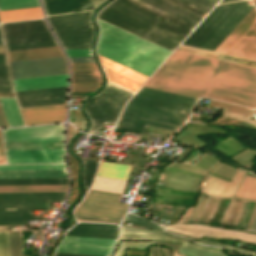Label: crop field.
<instances>
[{"label":"crop field","instance_id":"8a807250","mask_svg":"<svg viewBox=\"0 0 256 256\" xmlns=\"http://www.w3.org/2000/svg\"><path fill=\"white\" fill-rule=\"evenodd\" d=\"M98 18L171 52L190 31L123 0H114ZM97 18V53L149 77L171 52Z\"/></svg>","mask_w":256,"mask_h":256},{"label":"crop field","instance_id":"ac0d7876","mask_svg":"<svg viewBox=\"0 0 256 256\" xmlns=\"http://www.w3.org/2000/svg\"><path fill=\"white\" fill-rule=\"evenodd\" d=\"M144 86L256 108V68L178 51Z\"/></svg>","mask_w":256,"mask_h":256},{"label":"crop field","instance_id":"34b2d1b8","mask_svg":"<svg viewBox=\"0 0 256 256\" xmlns=\"http://www.w3.org/2000/svg\"><path fill=\"white\" fill-rule=\"evenodd\" d=\"M196 100L142 87L125 106L114 129L144 133L150 125L176 131L191 114Z\"/></svg>","mask_w":256,"mask_h":256},{"label":"crop field","instance_id":"412701ff","mask_svg":"<svg viewBox=\"0 0 256 256\" xmlns=\"http://www.w3.org/2000/svg\"><path fill=\"white\" fill-rule=\"evenodd\" d=\"M92 11L47 16V20L63 49L91 48L94 28Z\"/></svg>","mask_w":256,"mask_h":256},{"label":"crop field","instance_id":"f4fd0767","mask_svg":"<svg viewBox=\"0 0 256 256\" xmlns=\"http://www.w3.org/2000/svg\"><path fill=\"white\" fill-rule=\"evenodd\" d=\"M132 95V93L107 82L101 92L86 102L85 112L91 123L88 132L95 133L105 124L114 125L124 103Z\"/></svg>","mask_w":256,"mask_h":256},{"label":"crop field","instance_id":"dd49c442","mask_svg":"<svg viewBox=\"0 0 256 256\" xmlns=\"http://www.w3.org/2000/svg\"><path fill=\"white\" fill-rule=\"evenodd\" d=\"M215 51L256 61L255 7Z\"/></svg>","mask_w":256,"mask_h":256},{"label":"crop field","instance_id":"e52e79f7","mask_svg":"<svg viewBox=\"0 0 256 256\" xmlns=\"http://www.w3.org/2000/svg\"><path fill=\"white\" fill-rule=\"evenodd\" d=\"M13 79L68 73L64 56L9 62Z\"/></svg>","mask_w":256,"mask_h":256},{"label":"crop field","instance_id":"d8731c3e","mask_svg":"<svg viewBox=\"0 0 256 256\" xmlns=\"http://www.w3.org/2000/svg\"><path fill=\"white\" fill-rule=\"evenodd\" d=\"M66 193H0V209L49 210V201H64Z\"/></svg>","mask_w":256,"mask_h":256},{"label":"crop field","instance_id":"5a996713","mask_svg":"<svg viewBox=\"0 0 256 256\" xmlns=\"http://www.w3.org/2000/svg\"><path fill=\"white\" fill-rule=\"evenodd\" d=\"M6 45L52 40L43 19L2 24Z\"/></svg>","mask_w":256,"mask_h":256},{"label":"crop field","instance_id":"3316defc","mask_svg":"<svg viewBox=\"0 0 256 256\" xmlns=\"http://www.w3.org/2000/svg\"><path fill=\"white\" fill-rule=\"evenodd\" d=\"M128 206L127 204L84 198L76 207L74 216L78 219L120 222Z\"/></svg>","mask_w":256,"mask_h":256},{"label":"crop field","instance_id":"28ad6ade","mask_svg":"<svg viewBox=\"0 0 256 256\" xmlns=\"http://www.w3.org/2000/svg\"><path fill=\"white\" fill-rule=\"evenodd\" d=\"M116 239L65 236L56 252L109 255Z\"/></svg>","mask_w":256,"mask_h":256},{"label":"crop field","instance_id":"d1516ede","mask_svg":"<svg viewBox=\"0 0 256 256\" xmlns=\"http://www.w3.org/2000/svg\"><path fill=\"white\" fill-rule=\"evenodd\" d=\"M253 7L250 0H242L199 48L214 51Z\"/></svg>","mask_w":256,"mask_h":256},{"label":"crop field","instance_id":"22f410ed","mask_svg":"<svg viewBox=\"0 0 256 256\" xmlns=\"http://www.w3.org/2000/svg\"><path fill=\"white\" fill-rule=\"evenodd\" d=\"M68 86L15 92L20 108L66 103Z\"/></svg>","mask_w":256,"mask_h":256},{"label":"crop field","instance_id":"cbeb9de0","mask_svg":"<svg viewBox=\"0 0 256 256\" xmlns=\"http://www.w3.org/2000/svg\"><path fill=\"white\" fill-rule=\"evenodd\" d=\"M4 141L64 140L63 124L2 130Z\"/></svg>","mask_w":256,"mask_h":256},{"label":"crop field","instance_id":"5142ce71","mask_svg":"<svg viewBox=\"0 0 256 256\" xmlns=\"http://www.w3.org/2000/svg\"><path fill=\"white\" fill-rule=\"evenodd\" d=\"M8 164L65 163L64 150L5 151Z\"/></svg>","mask_w":256,"mask_h":256},{"label":"crop field","instance_id":"d9b57169","mask_svg":"<svg viewBox=\"0 0 256 256\" xmlns=\"http://www.w3.org/2000/svg\"><path fill=\"white\" fill-rule=\"evenodd\" d=\"M26 125L63 121L66 104L20 109Z\"/></svg>","mask_w":256,"mask_h":256},{"label":"crop field","instance_id":"733c2abd","mask_svg":"<svg viewBox=\"0 0 256 256\" xmlns=\"http://www.w3.org/2000/svg\"><path fill=\"white\" fill-rule=\"evenodd\" d=\"M104 0H42L46 15L94 9Z\"/></svg>","mask_w":256,"mask_h":256},{"label":"crop field","instance_id":"4a817a6b","mask_svg":"<svg viewBox=\"0 0 256 256\" xmlns=\"http://www.w3.org/2000/svg\"><path fill=\"white\" fill-rule=\"evenodd\" d=\"M245 171H238L231 183L210 177L202 192L209 196L228 198L232 197Z\"/></svg>","mask_w":256,"mask_h":256},{"label":"crop field","instance_id":"bc2a9ffb","mask_svg":"<svg viewBox=\"0 0 256 256\" xmlns=\"http://www.w3.org/2000/svg\"><path fill=\"white\" fill-rule=\"evenodd\" d=\"M15 91L68 85V74L13 80Z\"/></svg>","mask_w":256,"mask_h":256},{"label":"crop field","instance_id":"214f88e0","mask_svg":"<svg viewBox=\"0 0 256 256\" xmlns=\"http://www.w3.org/2000/svg\"><path fill=\"white\" fill-rule=\"evenodd\" d=\"M66 235L117 238L118 226L79 223L70 229Z\"/></svg>","mask_w":256,"mask_h":256},{"label":"crop field","instance_id":"92a150f3","mask_svg":"<svg viewBox=\"0 0 256 256\" xmlns=\"http://www.w3.org/2000/svg\"><path fill=\"white\" fill-rule=\"evenodd\" d=\"M120 239H156L183 242L184 240L167 235L157 234L137 228L121 226Z\"/></svg>","mask_w":256,"mask_h":256},{"label":"crop field","instance_id":"dafd665d","mask_svg":"<svg viewBox=\"0 0 256 256\" xmlns=\"http://www.w3.org/2000/svg\"><path fill=\"white\" fill-rule=\"evenodd\" d=\"M5 150L64 149V141L4 142Z\"/></svg>","mask_w":256,"mask_h":256},{"label":"crop field","instance_id":"00972430","mask_svg":"<svg viewBox=\"0 0 256 256\" xmlns=\"http://www.w3.org/2000/svg\"><path fill=\"white\" fill-rule=\"evenodd\" d=\"M9 61L63 55L59 47L7 52Z\"/></svg>","mask_w":256,"mask_h":256},{"label":"crop field","instance_id":"a9b5d70f","mask_svg":"<svg viewBox=\"0 0 256 256\" xmlns=\"http://www.w3.org/2000/svg\"><path fill=\"white\" fill-rule=\"evenodd\" d=\"M68 177L66 170L0 171V178Z\"/></svg>","mask_w":256,"mask_h":256},{"label":"crop field","instance_id":"4177f3b9","mask_svg":"<svg viewBox=\"0 0 256 256\" xmlns=\"http://www.w3.org/2000/svg\"><path fill=\"white\" fill-rule=\"evenodd\" d=\"M37 219L27 210H0V225H27L26 220Z\"/></svg>","mask_w":256,"mask_h":256},{"label":"crop field","instance_id":"730fd06b","mask_svg":"<svg viewBox=\"0 0 256 256\" xmlns=\"http://www.w3.org/2000/svg\"><path fill=\"white\" fill-rule=\"evenodd\" d=\"M42 17L43 15L40 7L0 12L1 22Z\"/></svg>","mask_w":256,"mask_h":256},{"label":"crop field","instance_id":"eef30255","mask_svg":"<svg viewBox=\"0 0 256 256\" xmlns=\"http://www.w3.org/2000/svg\"><path fill=\"white\" fill-rule=\"evenodd\" d=\"M130 167L131 166L128 165L101 161L97 175L126 180L130 171Z\"/></svg>","mask_w":256,"mask_h":256},{"label":"crop field","instance_id":"ae1a2a85","mask_svg":"<svg viewBox=\"0 0 256 256\" xmlns=\"http://www.w3.org/2000/svg\"><path fill=\"white\" fill-rule=\"evenodd\" d=\"M0 104L9 127L23 126L14 98L0 97Z\"/></svg>","mask_w":256,"mask_h":256},{"label":"crop field","instance_id":"d3111659","mask_svg":"<svg viewBox=\"0 0 256 256\" xmlns=\"http://www.w3.org/2000/svg\"><path fill=\"white\" fill-rule=\"evenodd\" d=\"M68 184V178L0 179V185Z\"/></svg>","mask_w":256,"mask_h":256},{"label":"crop field","instance_id":"750c4746","mask_svg":"<svg viewBox=\"0 0 256 256\" xmlns=\"http://www.w3.org/2000/svg\"><path fill=\"white\" fill-rule=\"evenodd\" d=\"M68 185L0 186V192L67 191Z\"/></svg>","mask_w":256,"mask_h":256},{"label":"crop field","instance_id":"bd1437ed","mask_svg":"<svg viewBox=\"0 0 256 256\" xmlns=\"http://www.w3.org/2000/svg\"><path fill=\"white\" fill-rule=\"evenodd\" d=\"M99 58H100V61H101L103 67L110 69L116 73H119L125 77H128L132 80H135L141 84H143L145 82V80L147 79V77H145L139 73H136L130 69H127L119 64H116L110 60H107L101 56H99Z\"/></svg>","mask_w":256,"mask_h":256},{"label":"crop field","instance_id":"1d83c4d3","mask_svg":"<svg viewBox=\"0 0 256 256\" xmlns=\"http://www.w3.org/2000/svg\"><path fill=\"white\" fill-rule=\"evenodd\" d=\"M234 197L238 199L256 200V178L245 175Z\"/></svg>","mask_w":256,"mask_h":256},{"label":"crop field","instance_id":"120bbe31","mask_svg":"<svg viewBox=\"0 0 256 256\" xmlns=\"http://www.w3.org/2000/svg\"><path fill=\"white\" fill-rule=\"evenodd\" d=\"M125 182L123 180L97 176L91 188L122 193Z\"/></svg>","mask_w":256,"mask_h":256},{"label":"crop field","instance_id":"d32e631a","mask_svg":"<svg viewBox=\"0 0 256 256\" xmlns=\"http://www.w3.org/2000/svg\"><path fill=\"white\" fill-rule=\"evenodd\" d=\"M200 158L204 159L206 162H208L210 165H212L214 167V165L216 163H218L219 161H217L216 159H214L213 157L209 156V155H206V154H203ZM198 161H200L201 163H203L205 166L209 167V168H213L211 167L208 163H206L204 160L200 159ZM196 162L195 164H193L195 167L199 168V169H202L204 171H209L210 169L205 167L204 165H202L200 162ZM172 165H176V166H180V167H184V168H188V169H192V170H196V171H200V172H204L202 170H199L191 165H187V164H180V163H176V162H173ZM172 165H169L170 167H174V168H178V169H181V170H185V171H189V172H193V173H197V174H201V175H204L203 173H199V172H195V171H191V170H188V169H184V168H180V167H176V166H172ZM206 173V172H204Z\"/></svg>","mask_w":256,"mask_h":256},{"label":"crop field","instance_id":"5866460e","mask_svg":"<svg viewBox=\"0 0 256 256\" xmlns=\"http://www.w3.org/2000/svg\"><path fill=\"white\" fill-rule=\"evenodd\" d=\"M103 69H104L109 81H111L119 86H122L132 92H135L141 86V84H139L135 81L125 78L119 74L112 72V71H109L110 69L109 70H107L105 68H103Z\"/></svg>","mask_w":256,"mask_h":256},{"label":"crop field","instance_id":"028f5c9d","mask_svg":"<svg viewBox=\"0 0 256 256\" xmlns=\"http://www.w3.org/2000/svg\"><path fill=\"white\" fill-rule=\"evenodd\" d=\"M40 6L38 0H0V11Z\"/></svg>","mask_w":256,"mask_h":256},{"label":"crop field","instance_id":"e1f06a70","mask_svg":"<svg viewBox=\"0 0 256 256\" xmlns=\"http://www.w3.org/2000/svg\"><path fill=\"white\" fill-rule=\"evenodd\" d=\"M66 169L64 164L0 165V170Z\"/></svg>","mask_w":256,"mask_h":256},{"label":"crop field","instance_id":"0bd39190","mask_svg":"<svg viewBox=\"0 0 256 256\" xmlns=\"http://www.w3.org/2000/svg\"><path fill=\"white\" fill-rule=\"evenodd\" d=\"M82 161H83L84 185L85 187H89L96 174L99 161L85 160V159H82Z\"/></svg>","mask_w":256,"mask_h":256},{"label":"crop field","instance_id":"b80d0937","mask_svg":"<svg viewBox=\"0 0 256 256\" xmlns=\"http://www.w3.org/2000/svg\"><path fill=\"white\" fill-rule=\"evenodd\" d=\"M72 82H101L99 71H72Z\"/></svg>","mask_w":256,"mask_h":256},{"label":"crop field","instance_id":"c035e120","mask_svg":"<svg viewBox=\"0 0 256 256\" xmlns=\"http://www.w3.org/2000/svg\"><path fill=\"white\" fill-rule=\"evenodd\" d=\"M208 106L219 107V108H223V110H225V111L239 113V114L254 117L253 111L250 108H245V107H241V106H236V105H231V104H227V103L217 102V101H213V100L210 101Z\"/></svg>","mask_w":256,"mask_h":256},{"label":"crop field","instance_id":"c21b1889","mask_svg":"<svg viewBox=\"0 0 256 256\" xmlns=\"http://www.w3.org/2000/svg\"><path fill=\"white\" fill-rule=\"evenodd\" d=\"M11 256H24L22 254V234L19 231H8Z\"/></svg>","mask_w":256,"mask_h":256},{"label":"crop field","instance_id":"03da06ac","mask_svg":"<svg viewBox=\"0 0 256 256\" xmlns=\"http://www.w3.org/2000/svg\"><path fill=\"white\" fill-rule=\"evenodd\" d=\"M87 198H93V199H100V200H106V201H113L118 202L121 195L120 194H114L104 191H98L90 189V191L85 196Z\"/></svg>","mask_w":256,"mask_h":256},{"label":"crop field","instance_id":"b54c1fbb","mask_svg":"<svg viewBox=\"0 0 256 256\" xmlns=\"http://www.w3.org/2000/svg\"><path fill=\"white\" fill-rule=\"evenodd\" d=\"M54 45H57L56 40L37 42V43H27V44H22V45L21 44L9 45V46H6V48H7V51H11V50L46 47V46H54Z\"/></svg>","mask_w":256,"mask_h":256},{"label":"crop field","instance_id":"5d738f31","mask_svg":"<svg viewBox=\"0 0 256 256\" xmlns=\"http://www.w3.org/2000/svg\"><path fill=\"white\" fill-rule=\"evenodd\" d=\"M124 220L132 222V223H135L137 225H141V226H145V227H149V228H153V229H157V230L163 231L162 228L159 225L154 224L152 222H149L147 220H144L142 218L136 217V216L131 215V214H127L126 217L124 218Z\"/></svg>","mask_w":256,"mask_h":256},{"label":"crop field","instance_id":"d23c7cc5","mask_svg":"<svg viewBox=\"0 0 256 256\" xmlns=\"http://www.w3.org/2000/svg\"><path fill=\"white\" fill-rule=\"evenodd\" d=\"M100 83H72L71 92H94Z\"/></svg>","mask_w":256,"mask_h":256},{"label":"crop field","instance_id":"425ffa30","mask_svg":"<svg viewBox=\"0 0 256 256\" xmlns=\"http://www.w3.org/2000/svg\"><path fill=\"white\" fill-rule=\"evenodd\" d=\"M184 3H187L195 8H198L206 13H208L211 8L214 6V4L205 1V0H180Z\"/></svg>","mask_w":256,"mask_h":256},{"label":"crop field","instance_id":"25e5ab78","mask_svg":"<svg viewBox=\"0 0 256 256\" xmlns=\"http://www.w3.org/2000/svg\"><path fill=\"white\" fill-rule=\"evenodd\" d=\"M0 256H10L7 231H0Z\"/></svg>","mask_w":256,"mask_h":256},{"label":"crop field","instance_id":"73cf0c24","mask_svg":"<svg viewBox=\"0 0 256 256\" xmlns=\"http://www.w3.org/2000/svg\"><path fill=\"white\" fill-rule=\"evenodd\" d=\"M0 86H12L7 66H0Z\"/></svg>","mask_w":256,"mask_h":256},{"label":"crop field","instance_id":"89e229c0","mask_svg":"<svg viewBox=\"0 0 256 256\" xmlns=\"http://www.w3.org/2000/svg\"><path fill=\"white\" fill-rule=\"evenodd\" d=\"M67 57L92 56L91 49L64 50Z\"/></svg>","mask_w":256,"mask_h":256},{"label":"crop field","instance_id":"1f2cbd36","mask_svg":"<svg viewBox=\"0 0 256 256\" xmlns=\"http://www.w3.org/2000/svg\"><path fill=\"white\" fill-rule=\"evenodd\" d=\"M72 70H98L96 63H70Z\"/></svg>","mask_w":256,"mask_h":256},{"label":"crop field","instance_id":"dbb93151","mask_svg":"<svg viewBox=\"0 0 256 256\" xmlns=\"http://www.w3.org/2000/svg\"><path fill=\"white\" fill-rule=\"evenodd\" d=\"M198 242L203 243V244H207V245H211V246H221V247H226V248H230V249L239 250V251H243V252H246V253L254 254L251 251H247V250H244V249H240V248H236V247H232V246H228V245H223V244H219V243H215V242H210V241H198Z\"/></svg>","mask_w":256,"mask_h":256},{"label":"crop field","instance_id":"0fb4a251","mask_svg":"<svg viewBox=\"0 0 256 256\" xmlns=\"http://www.w3.org/2000/svg\"><path fill=\"white\" fill-rule=\"evenodd\" d=\"M202 197H204V196H202ZM200 198H201V196H200ZM200 198H199V201H200ZM203 199H204V198H203ZM201 200H202V198H201ZM206 201H207V198L205 197L204 202H203V205H202V207H201V209H200V211H199L198 214H197V212H198V210H199V208H200L201 205H200V204H199V205L197 204L198 207H197V205H196L197 209H196V207L194 208V210H193V212H192V214H191V216H190V218H189V221H190V219H191V217H192V215H193L195 209H196V211H195V213H194L192 219L194 220L196 214H197V216H196L195 220L199 217V215H200V213H201V211H202V209H203V207H204ZM200 202H201V201H200ZM198 203H199V202H198ZM192 219H191V220H192Z\"/></svg>","mask_w":256,"mask_h":256},{"label":"crop field","instance_id":"1d79db26","mask_svg":"<svg viewBox=\"0 0 256 256\" xmlns=\"http://www.w3.org/2000/svg\"><path fill=\"white\" fill-rule=\"evenodd\" d=\"M211 199H212V198H210V197L208 198V202H207L208 204L210 203ZM215 201H216V199H215V198H213V200H212V202H211L210 206L207 204V205L209 206L208 211L206 210V211H207V213H206V211H205L206 207H205V209L203 210V212L205 211L206 215H205V213H204V215H205V216L202 218V216H203V215H202V214H203V212H202V214H201V216L198 218V220H201V218H202V220H203V221H205L206 217H207V216H208V214L211 212V210H212V208H213V205H214Z\"/></svg>","mask_w":256,"mask_h":256},{"label":"crop field","instance_id":"9d1cf04e","mask_svg":"<svg viewBox=\"0 0 256 256\" xmlns=\"http://www.w3.org/2000/svg\"><path fill=\"white\" fill-rule=\"evenodd\" d=\"M69 60L70 62H94L92 57L69 58Z\"/></svg>","mask_w":256,"mask_h":256},{"label":"crop field","instance_id":"447ae74e","mask_svg":"<svg viewBox=\"0 0 256 256\" xmlns=\"http://www.w3.org/2000/svg\"><path fill=\"white\" fill-rule=\"evenodd\" d=\"M0 164H6L4 149L2 144L1 132H0Z\"/></svg>","mask_w":256,"mask_h":256},{"label":"crop field","instance_id":"0765c3eb","mask_svg":"<svg viewBox=\"0 0 256 256\" xmlns=\"http://www.w3.org/2000/svg\"><path fill=\"white\" fill-rule=\"evenodd\" d=\"M236 202H237V201L234 202V205H233V207H232L231 213H232V211H233V209H234V206H235ZM238 203H239V201L237 202V204H236V206H235V209H234L232 215H231V213H230L231 216H234V213H235V211H236V208H237ZM240 203H241V202H240ZM240 203H239V205H240ZM238 207H239V206H238ZM237 210H238V208H237ZM236 212H237V211H236ZM230 215H229V216H230ZM234 217H235V216H234ZM229 219H230V217H228L226 224L228 223ZM233 220H234V218H231V220H230V222H229V225H232Z\"/></svg>","mask_w":256,"mask_h":256},{"label":"crop field","instance_id":"db79e9e6","mask_svg":"<svg viewBox=\"0 0 256 256\" xmlns=\"http://www.w3.org/2000/svg\"><path fill=\"white\" fill-rule=\"evenodd\" d=\"M255 213H256V204H255V206H254V208H253V210H252V213H251V215H250L249 221H248L247 226H246L245 229H249V228H250V226H251V224H252V221H253V218H254V216H255Z\"/></svg>","mask_w":256,"mask_h":256},{"label":"crop field","instance_id":"7b73153f","mask_svg":"<svg viewBox=\"0 0 256 256\" xmlns=\"http://www.w3.org/2000/svg\"><path fill=\"white\" fill-rule=\"evenodd\" d=\"M0 127H8L0 106Z\"/></svg>","mask_w":256,"mask_h":256},{"label":"crop field","instance_id":"78b8030e","mask_svg":"<svg viewBox=\"0 0 256 256\" xmlns=\"http://www.w3.org/2000/svg\"><path fill=\"white\" fill-rule=\"evenodd\" d=\"M79 131H77L75 128H73L70 124H69V129H68V141L70 140V138L72 136H74L76 133H78Z\"/></svg>","mask_w":256,"mask_h":256},{"label":"crop field","instance_id":"0f1d7ab4","mask_svg":"<svg viewBox=\"0 0 256 256\" xmlns=\"http://www.w3.org/2000/svg\"><path fill=\"white\" fill-rule=\"evenodd\" d=\"M56 256H99V255H81V254H63V253H55Z\"/></svg>","mask_w":256,"mask_h":256},{"label":"crop field","instance_id":"e1d0b9f6","mask_svg":"<svg viewBox=\"0 0 256 256\" xmlns=\"http://www.w3.org/2000/svg\"><path fill=\"white\" fill-rule=\"evenodd\" d=\"M0 45H4L3 39H2L1 29H0ZM0 53H5L4 46H0Z\"/></svg>","mask_w":256,"mask_h":256},{"label":"crop field","instance_id":"ae633e8c","mask_svg":"<svg viewBox=\"0 0 256 256\" xmlns=\"http://www.w3.org/2000/svg\"><path fill=\"white\" fill-rule=\"evenodd\" d=\"M0 92H13L12 87H0Z\"/></svg>","mask_w":256,"mask_h":256},{"label":"crop field","instance_id":"d14b1444","mask_svg":"<svg viewBox=\"0 0 256 256\" xmlns=\"http://www.w3.org/2000/svg\"><path fill=\"white\" fill-rule=\"evenodd\" d=\"M0 65H7L5 55H0Z\"/></svg>","mask_w":256,"mask_h":256},{"label":"crop field","instance_id":"c39391a2","mask_svg":"<svg viewBox=\"0 0 256 256\" xmlns=\"http://www.w3.org/2000/svg\"><path fill=\"white\" fill-rule=\"evenodd\" d=\"M233 202H234V200H232V202H231V204H230V206H229V210H228V213H227V215H226V217H225V219H224V221H223V224L225 223V221H226V219H227V217H228V214H229V212H230V209H231V207H232V204H233ZM222 220V219H221ZM221 222V221H220Z\"/></svg>","mask_w":256,"mask_h":256},{"label":"crop field","instance_id":"ade564c9","mask_svg":"<svg viewBox=\"0 0 256 256\" xmlns=\"http://www.w3.org/2000/svg\"><path fill=\"white\" fill-rule=\"evenodd\" d=\"M246 205H247V202H246V204H245V207H246ZM246 209H247V208H246ZM244 211H245V208H244ZM243 213H244V212H243ZM245 214H246V212H245ZM244 217H245V215L242 214L241 219H240V221H239V223H238L239 226L241 225V223H242Z\"/></svg>","mask_w":256,"mask_h":256},{"label":"crop field","instance_id":"c5b07064","mask_svg":"<svg viewBox=\"0 0 256 256\" xmlns=\"http://www.w3.org/2000/svg\"><path fill=\"white\" fill-rule=\"evenodd\" d=\"M0 96H13V93H0Z\"/></svg>","mask_w":256,"mask_h":256},{"label":"crop field","instance_id":"c3a83c6f","mask_svg":"<svg viewBox=\"0 0 256 256\" xmlns=\"http://www.w3.org/2000/svg\"><path fill=\"white\" fill-rule=\"evenodd\" d=\"M208 1H210V2H212V3H214V4H216L219 0H208Z\"/></svg>","mask_w":256,"mask_h":256},{"label":"crop field","instance_id":"fb207236","mask_svg":"<svg viewBox=\"0 0 256 256\" xmlns=\"http://www.w3.org/2000/svg\"><path fill=\"white\" fill-rule=\"evenodd\" d=\"M255 218H256V216H255ZM255 220V219H254ZM253 223H254V221H253ZM253 225V224H252ZM256 225V224H255ZM252 227V226H251ZM251 229V228H250ZM254 230H256V227H255V229Z\"/></svg>","mask_w":256,"mask_h":256},{"label":"crop field","instance_id":"7312dd0a","mask_svg":"<svg viewBox=\"0 0 256 256\" xmlns=\"http://www.w3.org/2000/svg\"><path fill=\"white\" fill-rule=\"evenodd\" d=\"M253 2L255 3V5H256V0H253Z\"/></svg>","mask_w":256,"mask_h":256}]
</instances>
